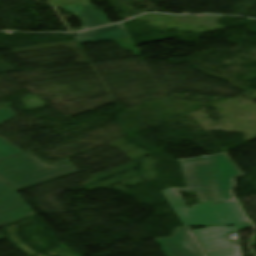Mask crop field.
Segmentation results:
<instances>
[{"mask_svg":"<svg viewBox=\"0 0 256 256\" xmlns=\"http://www.w3.org/2000/svg\"><path fill=\"white\" fill-rule=\"evenodd\" d=\"M187 189L170 188L164 195L185 226L253 225L243 214L232 189L243 175L226 154L179 160ZM197 191L200 205L187 208L178 192Z\"/></svg>","mask_w":256,"mask_h":256,"instance_id":"8a807250","label":"crop field"},{"mask_svg":"<svg viewBox=\"0 0 256 256\" xmlns=\"http://www.w3.org/2000/svg\"><path fill=\"white\" fill-rule=\"evenodd\" d=\"M63 9L68 13L78 16L86 30L109 24L105 14L95 11L93 5L90 3Z\"/></svg>","mask_w":256,"mask_h":256,"instance_id":"e52e79f7","label":"crop field"},{"mask_svg":"<svg viewBox=\"0 0 256 256\" xmlns=\"http://www.w3.org/2000/svg\"><path fill=\"white\" fill-rule=\"evenodd\" d=\"M193 231L206 251L237 245V242L229 243L224 238L225 234L237 232L234 228L212 227Z\"/></svg>","mask_w":256,"mask_h":256,"instance_id":"dd49c442","label":"crop field"},{"mask_svg":"<svg viewBox=\"0 0 256 256\" xmlns=\"http://www.w3.org/2000/svg\"><path fill=\"white\" fill-rule=\"evenodd\" d=\"M13 117L15 114L11 109L0 110V123ZM19 152L22 154L0 161V177L7 180L17 192L77 172L69 159L48 166L0 138V158Z\"/></svg>","mask_w":256,"mask_h":256,"instance_id":"ac0d7876","label":"crop field"},{"mask_svg":"<svg viewBox=\"0 0 256 256\" xmlns=\"http://www.w3.org/2000/svg\"><path fill=\"white\" fill-rule=\"evenodd\" d=\"M127 37L121 23L78 33L76 40L78 44L109 41L117 38Z\"/></svg>","mask_w":256,"mask_h":256,"instance_id":"d8731c3e","label":"crop field"},{"mask_svg":"<svg viewBox=\"0 0 256 256\" xmlns=\"http://www.w3.org/2000/svg\"><path fill=\"white\" fill-rule=\"evenodd\" d=\"M167 256H206L188 227H178L171 238L156 239Z\"/></svg>","mask_w":256,"mask_h":256,"instance_id":"412701ff","label":"crop field"},{"mask_svg":"<svg viewBox=\"0 0 256 256\" xmlns=\"http://www.w3.org/2000/svg\"><path fill=\"white\" fill-rule=\"evenodd\" d=\"M34 215L12 187L0 178V226Z\"/></svg>","mask_w":256,"mask_h":256,"instance_id":"f4fd0767","label":"crop field"},{"mask_svg":"<svg viewBox=\"0 0 256 256\" xmlns=\"http://www.w3.org/2000/svg\"><path fill=\"white\" fill-rule=\"evenodd\" d=\"M209 254L211 256H236L238 255L237 246L225 248V249H219L214 251H209Z\"/></svg>","mask_w":256,"mask_h":256,"instance_id":"5a996713","label":"crop field"},{"mask_svg":"<svg viewBox=\"0 0 256 256\" xmlns=\"http://www.w3.org/2000/svg\"><path fill=\"white\" fill-rule=\"evenodd\" d=\"M36 215L28 217L26 219L11 223L9 225L3 226V232L7 240L14 244L17 248L23 251L28 256H79L73 250L63 243H59L53 237H51L38 223ZM17 224L20 225V230L23 237L31 243L37 251L33 250L28 246L27 242H24L18 235ZM40 245V247L34 245L28 237ZM56 242L59 246L49 249L48 247ZM48 249L44 253L36 255L39 250Z\"/></svg>","mask_w":256,"mask_h":256,"instance_id":"34b2d1b8","label":"crop field"}]
</instances>
